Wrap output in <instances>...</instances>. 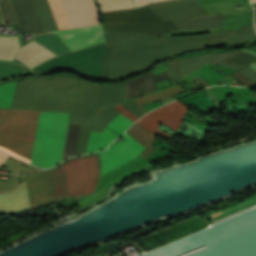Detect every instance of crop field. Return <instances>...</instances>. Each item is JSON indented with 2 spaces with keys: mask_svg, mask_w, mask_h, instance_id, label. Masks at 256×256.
Returning <instances> with one entry per match:
<instances>
[{
  "mask_svg": "<svg viewBox=\"0 0 256 256\" xmlns=\"http://www.w3.org/2000/svg\"><path fill=\"white\" fill-rule=\"evenodd\" d=\"M101 83L69 75L46 79L40 110L0 109V149L44 168L60 162L69 122L81 123L76 153H86L90 131L102 132L119 114L113 106L95 108Z\"/></svg>",
  "mask_w": 256,
  "mask_h": 256,
  "instance_id": "1",
  "label": "crop field"
},
{
  "mask_svg": "<svg viewBox=\"0 0 256 256\" xmlns=\"http://www.w3.org/2000/svg\"><path fill=\"white\" fill-rule=\"evenodd\" d=\"M100 171L98 154L73 158L49 171L25 174L30 207L92 193ZM25 182L0 191V214L29 207Z\"/></svg>",
  "mask_w": 256,
  "mask_h": 256,
  "instance_id": "2",
  "label": "crop field"
},
{
  "mask_svg": "<svg viewBox=\"0 0 256 256\" xmlns=\"http://www.w3.org/2000/svg\"><path fill=\"white\" fill-rule=\"evenodd\" d=\"M104 36L109 46L103 60L105 80L132 76L169 57L165 43L151 46L145 34L104 33Z\"/></svg>",
  "mask_w": 256,
  "mask_h": 256,
  "instance_id": "3",
  "label": "crop field"
},
{
  "mask_svg": "<svg viewBox=\"0 0 256 256\" xmlns=\"http://www.w3.org/2000/svg\"><path fill=\"white\" fill-rule=\"evenodd\" d=\"M104 32H140L147 36L179 31L170 21L155 15L149 9H124L101 13Z\"/></svg>",
  "mask_w": 256,
  "mask_h": 256,
  "instance_id": "4",
  "label": "crop field"
},
{
  "mask_svg": "<svg viewBox=\"0 0 256 256\" xmlns=\"http://www.w3.org/2000/svg\"><path fill=\"white\" fill-rule=\"evenodd\" d=\"M107 48L106 42L97 44L51 59L33 70L46 72L56 69H71L89 78L102 79V59Z\"/></svg>",
  "mask_w": 256,
  "mask_h": 256,
  "instance_id": "5",
  "label": "crop field"
},
{
  "mask_svg": "<svg viewBox=\"0 0 256 256\" xmlns=\"http://www.w3.org/2000/svg\"><path fill=\"white\" fill-rule=\"evenodd\" d=\"M208 36L209 35L172 38L173 42L166 44L170 54L173 55L190 49L220 45L223 44V42L229 44L251 40L256 38V32L253 24H251L239 27L233 35L225 40L209 42Z\"/></svg>",
  "mask_w": 256,
  "mask_h": 256,
  "instance_id": "6",
  "label": "crop field"
},
{
  "mask_svg": "<svg viewBox=\"0 0 256 256\" xmlns=\"http://www.w3.org/2000/svg\"><path fill=\"white\" fill-rule=\"evenodd\" d=\"M18 47L17 37H0L3 59H10ZM53 56L55 54L32 41L21 47L13 58L31 68Z\"/></svg>",
  "mask_w": 256,
  "mask_h": 256,
  "instance_id": "7",
  "label": "crop field"
},
{
  "mask_svg": "<svg viewBox=\"0 0 256 256\" xmlns=\"http://www.w3.org/2000/svg\"><path fill=\"white\" fill-rule=\"evenodd\" d=\"M187 110L188 107L178 101H175L148 113L136 123L146 128L153 134L158 133L167 138V134L157 130L160 121L177 131Z\"/></svg>",
  "mask_w": 256,
  "mask_h": 256,
  "instance_id": "8",
  "label": "crop field"
},
{
  "mask_svg": "<svg viewBox=\"0 0 256 256\" xmlns=\"http://www.w3.org/2000/svg\"><path fill=\"white\" fill-rule=\"evenodd\" d=\"M126 141L112 145L108 150L100 152L102 173L101 175L115 169L123 163L134 159L145 148L124 133L122 136Z\"/></svg>",
  "mask_w": 256,
  "mask_h": 256,
  "instance_id": "9",
  "label": "crop field"
},
{
  "mask_svg": "<svg viewBox=\"0 0 256 256\" xmlns=\"http://www.w3.org/2000/svg\"><path fill=\"white\" fill-rule=\"evenodd\" d=\"M146 7L159 16L172 21L174 24L206 13L198 0H170L149 4Z\"/></svg>",
  "mask_w": 256,
  "mask_h": 256,
  "instance_id": "10",
  "label": "crop field"
},
{
  "mask_svg": "<svg viewBox=\"0 0 256 256\" xmlns=\"http://www.w3.org/2000/svg\"><path fill=\"white\" fill-rule=\"evenodd\" d=\"M45 78L19 80L11 108L39 110Z\"/></svg>",
  "mask_w": 256,
  "mask_h": 256,
  "instance_id": "11",
  "label": "crop field"
},
{
  "mask_svg": "<svg viewBox=\"0 0 256 256\" xmlns=\"http://www.w3.org/2000/svg\"><path fill=\"white\" fill-rule=\"evenodd\" d=\"M72 28L99 24L93 0H61Z\"/></svg>",
  "mask_w": 256,
  "mask_h": 256,
  "instance_id": "12",
  "label": "crop field"
},
{
  "mask_svg": "<svg viewBox=\"0 0 256 256\" xmlns=\"http://www.w3.org/2000/svg\"><path fill=\"white\" fill-rule=\"evenodd\" d=\"M21 33H44L40 17L33 0H11Z\"/></svg>",
  "mask_w": 256,
  "mask_h": 256,
  "instance_id": "13",
  "label": "crop field"
},
{
  "mask_svg": "<svg viewBox=\"0 0 256 256\" xmlns=\"http://www.w3.org/2000/svg\"><path fill=\"white\" fill-rule=\"evenodd\" d=\"M34 1L37 6L39 15L41 17V20L46 32L54 31L58 29L64 30V29L71 28L60 0H47L51 8L52 14L54 16V19L56 21L58 29L56 27L55 21L53 19V16L51 14L47 1L46 0H34Z\"/></svg>",
  "mask_w": 256,
  "mask_h": 256,
  "instance_id": "14",
  "label": "crop field"
},
{
  "mask_svg": "<svg viewBox=\"0 0 256 256\" xmlns=\"http://www.w3.org/2000/svg\"><path fill=\"white\" fill-rule=\"evenodd\" d=\"M56 33L61 37L63 42L70 48L71 51L105 41L100 26L57 31Z\"/></svg>",
  "mask_w": 256,
  "mask_h": 256,
  "instance_id": "15",
  "label": "crop field"
},
{
  "mask_svg": "<svg viewBox=\"0 0 256 256\" xmlns=\"http://www.w3.org/2000/svg\"><path fill=\"white\" fill-rule=\"evenodd\" d=\"M126 81L118 84H103L101 85L100 94L97 100L98 106H107L112 104H118L124 101ZM129 111H131L138 118L144 115L140 109L136 106L133 100L121 103Z\"/></svg>",
  "mask_w": 256,
  "mask_h": 256,
  "instance_id": "16",
  "label": "crop field"
},
{
  "mask_svg": "<svg viewBox=\"0 0 256 256\" xmlns=\"http://www.w3.org/2000/svg\"><path fill=\"white\" fill-rule=\"evenodd\" d=\"M236 52H231V53H208V54H203V55H197L194 57L190 58H185V59H180V66L182 70V76L183 78L198 69L199 67L207 64L208 62H211L213 65H222V66H227L231 68H236L240 69L243 66L227 63L221 61L222 59L228 57L231 54H234Z\"/></svg>",
  "mask_w": 256,
  "mask_h": 256,
  "instance_id": "17",
  "label": "crop field"
},
{
  "mask_svg": "<svg viewBox=\"0 0 256 256\" xmlns=\"http://www.w3.org/2000/svg\"><path fill=\"white\" fill-rule=\"evenodd\" d=\"M167 79H170L169 71H165L154 77L151 71L145 75H140L138 77L130 79L127 81L125 99L150 93V92H154L155 91L154 83L165 81Z\"/></svg>",
  "mask_w": 256,
  "mask_h": 256,
  "instance_id": "18",
  "label": "crop field"
},
{
  "mask_svg": "<svg viewBox=\"0 0 256 256\" xmlns=\"http://www.w3.org/2000/svg\"><path fill=\"white\" fill-rule=\"evenodd\" d=\"M224 16H209L208 13L176 24L181 30L220 29Z\"/></svg>",
  "mask_w": 256,
  "mask_h": 256,
  "instance_id": "19",
  "label": "crop field"
},
{
  "mask_svg": "<svg viewBox=\"0 0 256 256\" xmlns=\"http://www.w3.org/2000/svg\"><path fill=\"white\" fill-rule=\"evenodd\" d=\"M132 138H134L137 142H139L146 149L141 153L143 157H147L150 153H152L156 147L151 145V142L154 140L155 135L145 130L138 124H134L127 132Z\"/></svg>",
  "mask_w": 256,
  "mask_h": 256,
  "instance_id": "20",
  "label": "crop field"
},
{
  "mask_svg": "<svg viewBox=\"0 0 256 256\" xmlns=\"http://www.w3.org/2000/svg\"><path fill=\"white\" fill-rule=\"evenodd\" d=\"M32 36H33V39H35L44 47L53 51L57 55L71 52L55 32H51L43 35H32Z\"/></svg>",
  "mask_w": 256,
  "mask_h": 256,
  "instance_id": "21",
  "label": "crop field"
},
{
  "mask_svg": "<svg viewBox=\"0 0 256 256\" xmlns=\"http://www.w3.org/2000/svg\"><path fill=\"white\" fill-rule=\"evenodd\" d=\"M116 137L108 129H104L102 133L91 132L88 142L87 153L98 151L99 147L106 148Z\"/></svg>",
  "mask_w": 256,
  "mask_h": 256,
  "instance_id": "22",
  "label": "crop field"
},
{
  "mask_svg": "<svg viewBox=\"0 0 256 256\" xmlns=\"http://www.w3.org/2000/svg\"><path fill=\"white\" fill-rule=\"evenodd\" d=\"M181 92H183V90L180 87L176 86V87L167 89L162 92L153 93V94H149L142 98L134 99V101L140 107V109L143 111V113L145 114L147 112L144 110V108L141 105L153 102L155 100L166 99L173 95L179 94Z\"/></svg>",
  "mask_w": 256,
  "mask_h": 256,
  "instance_id": "23",
  "label": "crop field"
},
{
  "mask_svg": "<svg viewBox=\"0 0 256 256\" xmlns=\"http://www.w3.org/2000/svg\"><path fill=\"white\" fill-rule=\"evenodd\" d=\"M80 124L70 123L62 160L74 156Z\"/></svg>",
  "mask_w": 256,
  "mask_h": 256,
  "instance_id": "24",
  "label": "crop field"
},
{
  "mask_svg": "<svg viewBox=\"0 0 256 256\" xmlns=\"http://www.w3.org/2000/svg\"><path fill=\"white\" fill-rule=\"evenodd\" d=\"M23 70L29 71V69L23 66L5 61H0V80L21 75Z\"/></svg>",
  "mask_w": 256,
  "mask_h": 256,
  "instance_id": "25",
  "label": "crop field"
},
{
  "mask_svg": "<svg viewBox=\"0 0 256 256\" xmlns=\"http://www.w3.org/2000/svg\"><path fill=\"white\" fill-rule=\"evenodd\" d=\"M16 82L0 85V108H10Z\"/></svg>",
  "mask_w": 256,
  "mask_h": 256,
  "instance_id": "26",
  "label": "crop field"
},
{
  "mask_svg": "<svg viewBox=\"0 0 256 256\" xmlns=\"http://www.w3.org/2000/svg\"><path fill=\"white\" fill-rule=\"evenodd\" d=\"M101 12L133 7L132 0H98Z\"/></svg>",
  "mask_w": 256,
  "mask_h": 256,
  "instance_id": "27",
  "label": "crop field"
},
{
  "mask_svg": "<svg viewBox=\"0 0 256 256\" xmlns=\"http://www.w3.org/2000/svg\"><path fill=\"white\" fill-rule=\"evenodd\" d=\"M224 61L247 66V65L253 63L254 61H256V56H253L248 53L240 51V52L224 59Z\"/></svg>",
  "mask_w": 256,
  "mask_h": 256,
  "instance_id": "28",
  "label": "crop field"
},
{
  "mask_svg": "<svg viewBox=\"0 0 256 256\" xmlns=\"http://www.w3.org/2000/svg\"><path fill=\"white\" fill-rule=\"evenodd\" d=\"M133 123L134 122H132L131 120L119 114L107 126H109L111 129L121 135Z\"/></svg>",
  "mask_w": 256,
  "mask_h": 256,
  "instance_id": "29",
  "label": "crop field"
},
{
  "mask_svg": "<svg viewBox=\"0 0 256 256\" xmlns=\"http://www.w3.org/2000/svg\"><path fill=\"white\" fill-rule=\"evenodd\" d=\"M0 12L4 21L17 22L9 0H2L0 2Z\"/></svg>",
  "mask_w": 256,
  "mask_h": 256,
  "instance_id": "30",
  "label": "crop field"
},
{
  "mask_svg": "<svg viewBox=\"0 0 256 256\" xmlns=\"http://www.w3.org/2000/svg\"><path fill=\"white\" fill-rule=\"evenodd\" d=\"M167 63H168L169 69H170L173 83L182 79L177 58L173 59L171 61H168Z\"/></svg>",
  "mask_w": 256,
  "mask_h": 256,
  "instance_id": "31",
  "label": "crop field"
},
{
  "mask_svg": "<svg viewBox=\"0 0 256 256\" xmlns=\"http://www.w3.org/2000/svg\"><path fill=\"white\" fill-rule=\"evenodd\" d=\"M237 29L235 30H230V31H221V32H212L210 33L209 40H220V39H225L228 38L232 33H234Z\"/></svg>",
  "mask_w": 256,
  "mask_h": 256,
  "instance_id": "32",
  "label": "crop field"
},
{
  "mask_svg": "<svg viewBox=\"0 0 256 256\" xmlns=\"http://www.w3.org/2000/svg\"><path fill=\"white\" fill-rule=\"evenodd\" d=\"M240 71L253 83L256 82V73L249 67L240 69Z\"/></svg>",
  "mask_w": 256,
  "mask_h": 256,
  "instance_id": "33",
  "label": "crop field"
},
{
  "mask_svg": "<svg viewBox=\"0 0 256 256\" xmlns=\"http://www.w3.org/2000/svg\"><path fill=\"white\" fill-rule=\"evenodd\" d=\"M236 79H238L244 86L253 85L239 70L231 73Z\"/></svg>",
  "mask_w": 256,
  "mask_h": 256,
  "instance_id": "34",
  "label": "crop field"
},
{
  "mask_svg": "<svg viewBox=\"0 0 256 256\" xmlns=\"http://www.w3.org/2000/svg\"><path fill=\"white\" fill-rule=\"evenodd\" d=\"M115 107L117 108V110L123 114L124 116L128 117L129 119L133 120L134 122L138 119L136 118L132 113H130L127 109H125L123 106H121L120 104L115 105Z\"/></svg>",
  "mask_w": 256,
  "mask_h": 256,
  "instance_id": "35",
  "label": "crop field"
},
{
  "mask_svg": "<svg viewBox=\"0 0 256 256\" xmlns=\"http://www.w3.org/2000/svg\"><path fill=\"white\" fill-rule=\"evenodd\" d=\"M149 40H150L152 45L158 44V43H161V42L172 41L171 37H164V36L149 38Z\"/></svg>",
  "mask_w": 256,
  "mask_h": 256,
  "instance_id": "36",
  "label": "crop field"
},
{
  "mask_svg": "<svg viewBox=\"0 0 256 256\" xmlns=\"http://www.w3.org/2000/svg\"><path fill=\"white\" fill-rule=\"evenodd\" d=\"M158 1H162V0H134V3L136 6L140 7L152 2H158Z\"/></svg>",
  "mask_w": 256,
  "mask_h": 256,
  "instance_id": "37",
  "label": "crop field"
},
{
  "mask_svg": "<svg viewBox=\"0 0 256 256\" xmlns=\"http://www.w3.org/2000/svg\"><path fill=\"white\" fill-rule=\"evenodd\" d=\"M191 79H193V80H195V81L201 83V85H202L203 87L209 86L199 75H197V76H195V77H193V78H191Z\"/></svg>",
  "mask_w": 256,
  "mask_h": 256,
  "instance_id": "38",
  "label": "crop field"
},
{
  "mask_svg": "<svg viewBox=\"0 0 256 256\" xmlns=\"http://www.w3.org/2000/svg\"><path fill=\"white\" fill-rule=\"evenodd\" d=\"M9 155L0 151V164L8 157Z\"/></svg>",
  "mask_w": 256,
  "mask_h": 256,
  "instance_id": "39",
  "label": "crop field"
},
{
  "mask_svg": "<svg viewBox=\"0 0 256 256\" xmlns=\"http://www.w3.org/2000/svg\"><path fill=\"white\" fill-rule=\"evenodd\" d=\"M254 9H255V22H256V7Z\"/></svg>",
  "mask_w": 256,
  "mask_h": 256,
  "instance_id": "40",
  "label": "crop field"
},
{
  "mask_svg": "<svg viewBox=\"0 0 256 256\" xmlns=\"http://www.w3.org/2000/svg\"><path fill=\"white\" fill-rule=\"evenodd\" d=\"M250 2H256V0H250Z\"/></svg>",
  "mask_w": 256,
  "mask_h": 256,
  "instance_id": "41",
  "label": "crop field"
},
{
  "mask_svg": "<svg viewBox=\"0 0 256 256\" xmlns=\"http://www.w3.org/2000/svg\"><path fill=\"white\" fill-rule=\"evenodd\" d=\"M254 98L256 99V94H253Z\"/></svg>",
  "mask_w": 256,
  "mask_h": 256,
  "instance_id": "42",
  "label": "crop field"
},
{
  "mask_svg": "<svg viewBox=\"0 0 256 256\" xmlns=\"http://www.w3.org/2000/svg\"><path fill=\"white\" fill-rule=\"evenodd\" d=\"M0 59H2L1 52H0Z\"/></svg>",
  "mask_w": 256,
  "mask_h": 256,
  "instance_id": "43",
  "label": "crop field"
},
{
  "mask_svg": "<svg viewBox=\"0 0 256 256\" xmlns=\"http://www.w3.org/2000/svg\"><path fill=\"white\" fill-rule=\"evenodd\" d=\"M255 26H256V23H255Z\"/></svg>",
  "mask_w": 256,
  "mask_h": 256,
  "instance_id": "44",
  "label": "crop field"
}]
</instances>
